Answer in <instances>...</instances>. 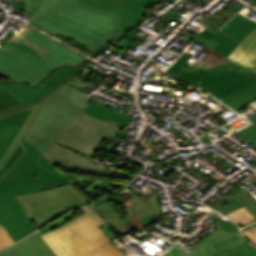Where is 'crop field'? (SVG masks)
Here are the masks:
<instances>
[{"instance_id": "crop-field-1", "label": "crop field", "mask_w": 256, "mask_h": 256, "mask_svg": "<svg viewBox=\"0 0 256 256\" xmlns=\"http://www.w3.org/2000/svg\"><path fill=\"white\" fill-rule=\"evenodd\" d=\"M24 11L40 6L30 18L53 35L70 38L92 51L120 36L119 14L90 7L77 0H24Z\"/></svg>"}, {"instance_id": "crop-field-2", "label": "crop field", "mask_w": 256, "mask_h": 256, "mask_svg": "<svg viewBox=\"0 0 256 256\" xmlns=\"http://www.w3.org/2000/svg\"><path fill=\"white\" fill-rule=\"evenodd\" d=\"M83 59L25 25L0 49V72L10 80L36 84L58 65H76Z\"/></svg>"}, {"instance_id": "crop-field-3", "label": "crop field", "mask_w": 256, "mask_h": 256, "mask_svg": "<svg viewBox=\"0 0 256 256\" xmlns=\"http://www.w3.org/2000/svg\"><path fill=\"white\" fill-rule=\"evenodd\" d=\"M77 219L50 231L42 238L57 256H128L109 241L99 227L106 224L89 206Z\"/></svg>"}, {"instance_id": "crop-field-4", "label": "crop field", "mask_w": 256, "mask_h": 256, "mask_svg": "<svg viewBox=\"0 0 256 256\" xmlns=\"http://www.w3.org/2000/svg\"><path fill=\"white\" fill-rule=\"evenodd\" d=\"M42 155L52 165L57 164L68 171L84 172L85 175H75L77 183L74 184L93 201L134 178L100 163L94 165L92 160L55 143Z\"/></svg>"}, {"instance_id": "crop-field-5", "label": "crop field", "mask_w": 256, "mask_h": 256, "mask_svg": "<svg viewBox=\"0 0 256 256\" xmlns=\"http://www.w3.org/2000/svg\"><path fill=\"white\" fill-rule=\"evenodd\" d=\"M26 153L14 168L0 180V190L13 196L35 193L72 183L53 167L39 152L21 138Z\"/></svg>"}, {"instance_id": "crop-field-6", "label": "crop field", "mask_w": 256, "mask_h": 256, "mask_svg": "<svg viewBox=\"0 0 256 256\" xmlns=\"http://www.w3.org/2000/svg\"><path fill=\"white\" fill-rule=\"evenodd\" d=\"M15 198L24 208L35 230L68 209L93 202L73 184Z\"/></svg>"}, {"instance_id": "crop-field-7", "label": "crop field", "mask_w": 256, "mask_h": 256, "mask_svg": "<svg viewBox=\"0 0 256 256\" xmlns=\"http://www.w3.org/2000/svg\"><path fill=\"white\" fill-rule=\"evenodd\" d=\"M40 105L37 103L0 115V179L26 152L20 138Z\"/></svg>"}, {"instance_id": "crop-field-8", "label": "crop field", "mask_w": 256, "mask_h": 256, "mask_svg": "<svg viewBox=\"0 0 256 256\" xmlns=\"http://www.w3.org/2000/svg\"><path fill=\"white\" fill-rule=\"evenodd\" d=\"M72 119L75 121L54 133L60 139L57 143L90 157L95 151L101 149L100 141L112 136L120 129L82 112Z\"/></svg>"}, {"instance_id": "crop-field-9", "label": "crop field", "mask_w": 256, "mask_h": 256, "mask_svg": "<svg viewBox=\"0 0 256 256\" xmlns=\"http://www.w3.org/2000/svg\"><path fill=\"white\" fill-rule=\"evenodd\" d=\"M200 85L235 111L256 98V79L230 68Z\"/></svg>"}, {"instance_id": "crop-field-10", "label": "crop field", "mask_w": 256, "mask_h": 256, "mask_svg": "<svg viewBox=\"0 0 256 256\" xmlns=\"http://www.w3.org/2000/svg\"><path fill=\"white\" fill-rule=\"evenodd\" d=\"M72 121L42 104L22 138L41 153L59 140L53 133Z\"/></svg>"}, {"instance_id": "crop-field-11", "label": "crop field", "mask_w": 256, "mask_h": 256, "mask_svg": "<svg viewBox=\"0 0 256 256\" xmlns=\"http://www.w3.org/2000/svg\"><path fill=\"white\" fill-rule=\"evenodd\" d=\"M123 204L128 213L126 218H121L108 202L96 208L93 205L90 207L106 223L110 222L121 235L129 231V223L159 211L156 194L146 201L135 195Z\"/></svg>"}, {"instance_id": "crop-field-12", "label": "crop field", "mask_w": 256, "mask_h": 256, "mask_svg": "<svg viewBox=\"0 0 256 256\" xmlns=\"http://www.w3.org/2000/svg\"><path fill=\"white\" fill-rule=\"evenodd\" d=\"M0 223L14 241L34 231L21 205L5 191H0Z\"/></svg>"}, {"instance_id": "crop-field-13", "label": "crop field", "mask_w": 256, "mask_h": 256, "mask_svg": "<svg viewBox=\"0 0 256 256\" xmlns=\"http://www.w3.org/2000/svg\"><path fill=\"white\" fill-rule=\"evenodd\" d=\"M159 0H91L87 4L121 14L120 29L124 32L140 19L143 8Z\"/></svg>"}, {"instance_id": "crop-field-14", "label": "crop field", "mask_w": 256, "mask_h": 256, "mask_svg": "<svg viewBox=\"0 0 256 256\" xmlns=\"http://www.w3.org/2000/svg\"><path fill=\"white\" fill-rule=\"evenodd\" d=\"M0 256H56L38 232L2 251Z\"/></svg>"}, {"instance_id": "crop-field-15", "label": "crop field", "mask_w": 256, "mask_h": 256, "mask_svg": "<svg viewBox=\"0 0 256 256\" xmlns=\"http://www.w3.org/2000/svg\"><path fill=\"white\" fill-rule=\"evenodd\" d=\"M227 59L256 71V29L244 38Z\"/></svg>"}, {"instance_id": "crop-field-16", "label": "crop field", "mask_w": 256, "mask_h": 256, "mask_svg": "<svg viewBox=\"0 0 256 256\" xmlns=\"http://www.w3.org/2000/svg\"><path fill=\"white\" fill-rule=\"evenodd\" d=\"M40 102L52 108L67 120L83 109L81 106L60 94L56 90L51 92Z\"/></svg>"}, {"instance_id": "crop-field-17", "label": "crop field", "mask_w": 256, "mask_h": 256, "mask_svg": "<svg viewBox=\"0 0 256 256\" xmlns=\"http://www.w3.org/2000/svg\"><path fill=\"white\" fill-rule=\"evenodd\" d=\"M208 55L203 59L204 61L198 66V68L208 71L212 74H217L229 67L252 77L256 78V73L249 71L245 68H242L228 60L225 57L219 55L218 53L208 50Z\"/></svg>"}, {"instance_id": "crop-field-18", "label": "crop field", "mask_w": 256, "mask_h": 256, "mask_svg": "<svg viewBox=\"0 0 256 256\" xmlns=\"http://www.w3.org/2000/svg\"><path fill=\"white\" fill-rule=\"evenodd\" d=\"M3 86L20 98L26 105L40 101L41 98L54 90L46 83H41L37 87L22 86L17 83L4 84Z\"/></svg>"}, {"instance_id": "crop-field-19", "label": "crop field", "mask_w": 256, "mask_h": 256, "mask_svg": "<svg viewBox=\"0 0 256 256\" xmlns=\"http://www.w3.org/2000/svg\"><path fill=\"white\" fill-rule=\"evenodd\" d=\"M82 112L107 121L111 124L118 126L119 124L128 125L132 118L128 117L129 115L112 110L109 107L100 105L98 103L92 102L88 105Z\"/></svg>"}, {"instance_id": "crop-field-20", "label": "crop field", "mask_w": 256, "mask_h": 256, "mask_svg": "<svg viewBox=\"0 0 256 256\" xmlns=\"http://www.w3.org/2000/svg\"><path fill=\"white\" fill-rule=\"evenodd\" d=\"M244 243H246V240L240 234L239 230H236L228 235L207 242V245L211 249L214 256H217L218 253L222 251L228 250Z\"/></svg>"}, {"instance_id": "crop-field-21", "label": "crop field", "mask_w": 256, "mask_h": 256, "mask_svg": "<svg viewBox=\"0 0 256 256\" xmlns=\"http://www.w3.org/2000/svg\"><path fill=\"white\" fill-rule=\"evenodd\" d=\"M238 41L228 37L223 32L218 31L206 44L205 46L213 49L223 56L227 54L235 47Z\"/></svg>"}, {"instance_id": "crop-field-22", "label": "crop field", "mask_w": 256, "mask_h": 256, "mask_svg": "<svg viewBox=\"0 0 256 256\" xmlns=\"http://www.w3.org/2000/svg\"><path fill=\"white\" fill-rule=\"evenodd\" d=\"M191 57H192V54L185 52L181 56V58L173 64V66L178 67L180 69H183L185 71H188L190 73H193L195 75H198V76L202 77L199 82L213 76V75H211V74H209V73H207L203 70H200V69L196 68L202 62V60L200 62H196L195 64L189 62ZM198 83L196 84V86L202 88Z\"/></svg>"}, {"instance_id": "crop-field-23", "label": "crop field", "mask_w": 256, "mask_h": 256, "mask_svg": "<svg viewBox=\"0 0 256 256\" xmlns=\"http://www.w3.org/2000/svg\"><path fill=\"white\" fill-rule=\"evenodd\" d=\"M83 65L77 68L63 67L59 68L53 75L43 80L48 83L54 89L63 84L72 75L78 73L82 69Z\"/></svg>"}, {"instance_id": "crop-field-24", "label": "crop field", "mask_w": 256, "mask_h": 256, "mask_svg": "<svg viewBox=\"0 0 256 256\" xmlns=\"http://www.w3.org/2000/svg\"><path fill=\"white\" fill-rule=\"evenodd\" d=\"M21 106H25V104L5 87L0 85V113Z\"/></svg>"}, {"instance_id": "crop-field-25", "label": "crop field", "mask_w": 256, "mask_h": 256, "mask_svg": "<svg viewBox=\"0 0 256 256\" xmlns=\"http://www.w3.org/2000/svg\"><path fill=\"white\" fill-rule=\"evenodd\" d=\"M56 90L64 94L68 98L72 99L84 108L88 105L85 103L88 100V97L84 96V93L82 91L76 90L68 84H63Z\"/></svg>"}, {"instance_id": "crop-field-26", "label": "crop field", "mask_w": 256, "mask_h": 256, "mask_svg": "<svg viewBox=\"0 0 256 256\" xmlns=\"http://www.w3.org/2000/svg\"><path fill=\"white\" fill-rule=\"evenodd\" d=\"M226 216L235 221L240 228L256 222V220L248 213V211L244 207L237 209L227 214Z\"/></svg>"}, {"instance_id": "crop-field-27", "label": "crop field", "mask_w": 256, "mask_h": 256, "mask_svg": "<svg viewBox=\"0 0 256 256\" xmlns=\"http://www.w3.org/2000/svg\"><path fill=\"white\" fill-rule=\"evenodd\" d=\"M237 196L233 197L237 202H239L241 205H243L250 214L256 219V200L253 198V196L247 192L237 193L233 190Z\"/></svg>"}, {"instance_id": "crop-field-28", "label": "crop field", "mask_w": 256, "mask_h": 256, "mask_svg": "<svg viewBox=\"0 0 256 256\" xmlns=\"http://www.w3.org/2000/svg\"><path fill=\"white\" fill-rule=\"evenodd\" d=\"M166 73L176 78H179L181 80H184L188 83H191L193 85H195L200 79V77L198 76H195L193 74H190L188 72L175 68L173 66H171V68Z\"/></svg>"}, {"instance_id": "crop-field-29", "label": "crop field", "mask_w": 256, "mask_h": 256, "mask_svg": "<svg viewBox=\"0 0 256 256\" xmlns=\"http://www.w3.org/2000/svg\"><path fill=\"white\" fill-rule=\"evenodd\" d=\"M78 209L70 211L64 215H62L61 217H59L58 219H56L55 221H53L52 223H50L49 225H47L45 228H43L42 230H40V234H44L50 230H53L59 226H61L62 224L68 222L69 218L73 217Z\"/></svg>"}, {"instance_id": "crop-field-30", "label": "crop field", "mask_w": 256, "mask_h": 256, "mask_svg": "<svg viewBox=\"0 0 256 256\" xmlns=\"http://www.w3.org/2000/svg\"><path fill=\"white\" fill-rule=\"evenodd\" d=\"M237 133L256 145V123Z\"/></svg>"}, {"instance_id": "crop-field-31", "label": "crop field", "mask_w": 256, "mask_h": 256, "mask_svg": "<svg viewBox=\"0 0 256 256\" xmlns=\"http://www.w3.org/2000/svg\"><path fill=\"white\" fill-rule=\"evenodd\" d=\"M221 30L224 31L225 33L229 34L233 38L237 39L240 42L246 36L243 33L239 32L238 30H236L235 28H233L227 24Z\"/></svg>"}, {"instance_id": "crop-field-32", "label": "crop field", "mask_w": 256, "mask_h": 256, "mask_svg": "<svg viewBox=\"0 0 256 256\" xmlns=\"http://www.w3.org/2000/svg\"><path fill=\"white\" fill-rule=\"evenodd\" d=\"M11 243H13V240L1 225L0 226V249L4 248L5 246Z\"/></svg>"}, {"instance_id": "crop-field-33", "label": "crop field", "mask_w": 256, "mask_h": 256, "mask_svg": "<svg viewBox=\"0 0 256 256\" xmlns=\"http://www.w3.org/2000/svg\"><path fill=\"white\" fill-rule=\"evenodd\" d=\"M242 234L248 239L254 246H256V227L242 231Z\"/></svg>"}, {"instance_id": "crop-field-34", "label": "crop field", "mask_w": 256, "mask_h": 256, "mask_svg": "<svg viewBox=\"0 0 256 256\" xmlns=\"http://www.w3.org/2000/svg\"><path fill=\"white\" fill-rule=\"evenodd\" d=\"M66 83H69L71 86L82 90L86 85L87 82L83 81L82 79L74 76L73 78H71L69 81H67Z\"/></svg>"}, {"instance_id": "crop-field-35", "label": "crop field", "mask_w": 256, "mask_h": 256, "mask_svg": "<svg viewBox=\"0 0 256 256\" xmlns=\"http://www.w3.org/2000/svg\"><path fill=\"white\" fill-rule=\"evenodd\" d=\"M164 256H189L179 245H176Z\"/></svg>"}, {"instance_id": "crop-field-36", "label": "crop field", "mask_w": 256, "mask_h": 256, "mask_svg": "<svg viewBox=\"0 0 256 256\" xmlns=\"http://www.w3.org/2000/svg\"><path fill=\"white\" fill-rule=\"evenodd\" d=\"M172 10H174V9H172ZM174 11H175L174 13L171 12V11H168V12L162 14L161 16H164V17H166V18H168V19H170L174 22L182 24L183 23L182 21H179V20L176 19L178 17V15H177L178 11H176V10H174Z\"/></svg>"}, {"instance_id": "crop-field-37", "label": "crop field", "mask_w": 256, "mask_h": 256, "mask_svg": "<svg viewBox=\"0 0 256 256\" xmlns=\"http://www.w3.org/2000/svg\"><path fill=\"white\" fill-rule=\"evenodd\" d=\"M217 30L218 28L208 25V27L203 32H198V33L211 38L217 32Z\"/></svg>"}, {"instance_id": "crop-field-38", "label": "crop field", "mask_w": 256, "mask_h": 256, "mask_svg": "<svg viewBox=\"0 0 256 256\" xmlns=\"http://www.w3.org/2000/svg\"><path fill=\"white\" fill-rule=\"evenodd\" d=\"M220 227H222L223 229H225L227 232H232L236 229H238V227L232 222V221H226L224 224H222Z\"/></svg>"}, {"instance_id": "crop-field-39", "label": "crop field", "mask_w": 256, "mask_h": 256, "mask_svg": "<svg viewBox=\"0 0 256 256\" xmlns=\"http://www.w3.org/2000/svg\"><path fill=\"white\" fill-rule=\"evenodd\" d=\"M156 219H159V217H158L156 214H152V215H150V216H147V217H145V218L140 219V221H141V223H142L143 225H145V224H147V223H149V222H152V221H154V220H156Z\"/></svg>"}, {"instance_id": "crop-field-40", "label": "crop field", "mask_w": 256, "mask_h": 256, "mask_svg": "<svg viewBox=\"0 0 256 256\" xmlns=\"http://www.w3.org/2000/svg\"><path fill=\"white\" fill-rule=\"evenodd\" d=\"M140 30L139 27H137L134 31L128 32L126 35H124V38L130 39L133 35H135Z\"/></svg>"}, {"instance_id": "crop-field-41", "label": "crop field", "mask_w": 256, "mask_h": 256, "mask_svg": "<svg viewBox=\"0 0 256 256\" xmlns=\"http://www.w3.org/2000/svg\"><path fill=\"white\" fill-rule=\"evenodd\" d=\"M193 41H195V43H197V44H199V45H201V46H203L204 45V43H201V42H199V41H197V40H195V39H193ZM204 47V46H203ZM208 48H206V47H204L203 48V50H207Z\"/></svg>"}, {"instance_id": "crop-field-42", "label": "crop field", "mask_w": 256, "mask_h": 256, "mask_svg": "<svg viewBox=\"0 0 256 256\" xmlns=\"http://www.w3.org/2000/svg\"><path fill=\"white\" fill-rule=\"evenodd\" d=\"M195 37L201 38V39L206 40V41L209 40V38H206V37H204V36H202L200 34L196 35Z\"/></svg>"}, {"instance_id": "crop-field-43", "label": "crop field", "mask_w": 256, "mask_h": 256, "mask_svg": "<svg viewBox=\"0 0 256 256\" xmlns=\"http://www.w3.org/2000/svg\"><path fill=\"white\" fill-rule=\"evenodd\" d=\"M250 5L256 7V0H253V1L250 3Z\"/></svg>"}, {"instance_id": "crop-field-44", "label": "crop field", "mask_w": 256, "mask_h": 256, "mask_svg": "<svg viewBox=\"0 0 256 256\" xmlns=\"http://www.w3.org/2000/svg\"><path fill=\"white\" fill-rule=\"evenodd\" d=\"M252 122H256V116L250 119Z\"/></svg>"}, {"instance_id": "crop-field-45", "label": "crop field", "mask_w": 256, "mask_h": 256, "mask_svg": "<svg viewBox=\"0 0 256 256\" xmlns=\"http://www.w3.org/2000/svg\"><path fill=\"white\" fill-rule=\"evenodd\" d=\"M166 1H169V2L173 3L175 0H166Z\"/></svg>"}, {"instance_id": "crop-field-46", "label": "crop field", "mask_w": 256, "mask_h": 256, "mask_svg": "<svg viewBox=\"0 0 256 256\" xmlns=\"http://www.w3.org/2000/svg\"><path fill=\"white\" fill-rule=\"evenodd\" d=\"M79 1H83V2H85V3H86V2H88L89 0H79Z\"/></svg>"}]
</instances>
